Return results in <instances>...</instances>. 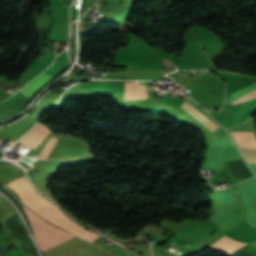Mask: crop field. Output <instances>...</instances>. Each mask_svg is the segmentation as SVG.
Here are the masks:
<instances>
[{
	"label": "crop field",
	"mask_w": 256,
	"mask_h": 256,
	"mask_svg": "<svg viewBox=\"0 0 256 256\" xmlns=\"http://www.w3.org/2000/svg\"><path fill=\"white\" fill-rule=\"evenodd\" d=\"M143 92V86L136 82L126 83L125 100L129 99H141ZM148 96V89L146 88V98ZM143 98H145V87L143 92Z\"/></svg>",
	"instance_id": "obj_7"
},
{
	"label": "crop field",
	"mask_w": 256,
	"mask_h": 256,
	"mask_svg": "<svg viewBox=\"0 0 256 256\" xmlns=\"http://www.w3.org/2000/svg\"><path fill=\"white\" fill-rule=\"evenodd\" d=\"M239 147L256 148V137L253 132H231Z\"/></svg>",
	"instance_id": "obj_6"
},
{
	"label": "crop field",
	"mask_w": 256,
	"mask_h": 256,
	"mask_svg": "<svg viewBox=\"0 0 256 256\" xmlns=\"http://www.w3.org/2000/svg\"><path fill=\"white\" fill-rule=\"evenodd\" d=\"M49 133L50 132L47 127L38 124L27 135H25L19 143L34 149Z\"/></svg>",
	"instance_id": "obj_3"
},
{
	"label": "crop field",
	"mask_w": 256,
	"mask_h": 256,
	"mask_svg": "<svg viewBox=\"0 0 256 256\" xmlns=\"http://www.w3.org/2000/svg\"><path fill=\"white\" fill-rule=\"evenodd\" d=\"M51 79H53V78H51L48 75L43 73L38 78H36L34 81H32L29 85H27L25 88H23L22 92L24 95L31 98L33 96V94L38 89H40L44 84H46Z\"/></svg>",
	"instance_id": "obj_8"
},
{
	"label": "crop field",
	"mask_w": 256,
	"mask_h": 256,
	"mask_svg": "<svg viewBox=\"0 0 256 256\" xmlns=\"http://www.w3.org/2000/svg\"><path fill=\"white\" fill-rule=\"evenodd\" d=\"M180 107L183 108L190 115H192L195 119H197L200 123H202L212 132L220 127L216 123H214L212 120H210L208 117H206L204 114H202L200 111H198L196 108H194L192 105L188 104L187 102L184 101Z\"/></svg>",
	"instance_id": "obj_5"
},
{
	"label": "crop field",
	"mask_w": 256,
	"mask_h": 256,
	"mask_svg": "<svg viewBox=\"0 0 256 256\" xmlns=\"http://www.w3.org/2000/svg\"><path fill=\"white\" fill-rule=\"evenodd\" d=\"M6 186L11 188L21 198L25 205L46 220L53 222L61 228L88 241H94L99 237L71 222L55 205L41 197L32 188L29 180L25 176Z\"/></svg>",
	"instance_id": "obj_1"
},
{
	"label": "crop field",
	"mask_w": 256,
	"mask_h": 256,
	"mask_svg": "<svg viewBox=\"0 0 256 256\" xmlns=\"http://www.w3.org/2000/svg\"><path fill=\"white\" fill-rule=\"evenodd\" d=\"M255 97H256V90H254V91H252V92H250V93H248V94H246V95H244V96H242V97H240V98H238V99H236V100H234L230 103L235 105V104L250 100V99L255 98Z\"/></svg>",
	"instance_id": "obj_11"
},
{
	"label": "crop field",
	"mask_w": 256,
	"mask_h": 256,
	"mask_svg": "<svg viewBox=\"0 0 256 256\" xmlns=\"http://www.w3.org/2000/svg\"><path fill=\"white\" fill-rule=\"evenodd\" d=\"M56 142H57V139L51 137L48 144L46 145V147L44 148V150L42 151L38 159H47L48 155L50 154Z\"/></svg>",
	"instance_id": "obj_9"
},
{
	"label": "crop field",
	"mask_w": 256,
	"mask_h": 256,
	"mask_svg": "<svg viewBox=\"0 0 256 256\" xmlns=\"http://www.w3.org/2000/svg\"><path fill=\"white\" fill-rule=\"evenodd\" d=\"M247 244L248 243H241L224 236L210 248L216 250L219 253L230 255L240 248L246 246Z\"/></svg>",
	"instance_id": "obj_4"
},
{
	"label": "crop field",
	"mask_w": 256,
	"mask_h": 256,
	"mask_svg": "<svg viewBox=\"0 0 256 256\" xmlns=\"http://www.w3.org/2000/svg\"><path fill=\"white\" fill-rule=\"evenodd\" d=\"M5 143V142H4ZM2 145V142H0V146Z\"/></svg>",
	"instance_id": "obj_12"
},
{
	"label": "crop field",
	"mask_w": 256,
	"mask_h": 256,
	"mask_svg": "<svg viewBox=\"0 0 256 256\" xmlns=\"http://www.w3.org/2000/svg\"><path fill=\"white\" fill-rule=\"evenodd\" d=\"M248 163H256V149L240 148Z\"/></svg>",
	"instance_id": "obj_10"
},
{
	"label": "crop field",
	"mask_w": 256,
	"mask_h": 256,
	"mask_svg": "<svg viewBox=\"0 0 256 256\" xmlns=\"http://www.w3.org/2000/svg\"><path fill=\"white\" fill-rule=\"evenodd\" d=\"M24 210L29 218L35 236L38 237L35 239L42 251H45L74 237L54 226L45 223L28 209L24 208Z\"/></svg>",
	"instance_id": "obj_2"
}]
</instances>
